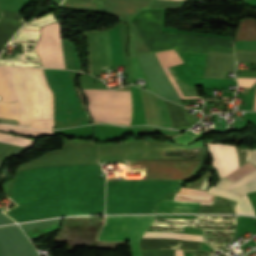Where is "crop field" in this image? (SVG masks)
I'll use <instances>...</instances> for the list:
<instances>
[{
  "label": "crop field",
  "instance_id": "9",
  "mask_svg": "<svg viewBox=\"0 0 256 256\" xmlns=\"http://www.w3.org/2000/svg\"><path fill=\"white\" fill-rule=\"evenodd\" d=\"M212 157V165L219 177H223L239 168L235 146L226 144H207Z\"/></svg>",
  "mask_w": 256,
  "mask_h": 256
},
{
  "label": "crop field",
  "instance_id": "14",
  "mask_svg": "<svg viewBox=\"0 0 256 256\" xmlns=\"http://www.w3.org/2000/svg\"><path fill=\"white\" fill-rule=\"evenodd\" d=\"M24 23L0 19V52Z\"/></svg>",
  "mask_w": 256,
  "mask_h": 256
},
{
  "label": "crop field",
  "instance_id": "28",
  "mask_svg": "<svg viewBox=\"0 0 256 256\" xmlns=\"http://www.w3.org/2000/svg\"><path fill=\"white\" fill-rule=\"evenodd\" d=\"M110 66H106V67H103V69H105V68H109Z\"/></svg>",
  "mask_w": 256,
  "mask_h": 256
},
{
  "label": "crop field",
  "instance_id": "15",
  "mask_svg": "<svg viewBox=\"0 0 256 256\" xmlns=\"http://www.w3.org/2000/svg\"><path fill=\"white\" fill-rule=\"evenodd\" d=\"M142 238H175L184 240L204 241L202 236L187 235L181 233L145 232Z\"/></svg>",
  "mask_w": 256,
  "mask_h": 256
},
{
  "label": "crop field",
  "instance_id": "2",
  "mask_svg": "<svg viewBox=\"0 0 256 256\" xmlns=\"http://www.w3.org/2000/svg\"><path fill=\"white\" fill-rule=\"evenodd\" d=\"M146 164V179H187L198 162L131 161ZM184 180L169 181H107L106 214L155 213L160 198L169 192H178Z\"/></svg>",
  "mask_w": 256,
  "mask_h": 256
},
{
  "label": "crop field",
  "instance_id": "27",
  "mask_svg": "<svg viewBox=\"0 0 256 256\" xmlns=\"http://www.w3.org/2000/svg\"><path fill=\"white\" fill-rule=\"evenodd\" d=\"M175 256H183L182 250H175Z\"/></svg>",
  "mask_w": 256,
  "mask_h": 256
},
{
  "label": "crop field",
  "instance_id": "11",
  "mask_svg": "<svg viewBox=\"0 0 256 256\" xmlns=\"http://www.w3.org/2000/svg\"><path fill=\"white\" fill-rule=\"evenodd\" d=\"M199 203L161 200L157 213H197Z\"/></svg>",
  "mask_w": 256,
  "mask_h": 256
},
{
  "label": "crop field",
  "instance_id": "3",
  "mask_svg": "<svg viewBox=\"0 0 256 256\" xmlns=\"http://www.w3.org/2000/svg\"><path fill=\"white\" fill-rule=\"evenodd\" d=\"M0 91L3 102L18 101L20 125L53 119L52 92L42 69L0 66Z\"/></svg>",
  "mask_w": 256,
  "mask_h": 256
},
{
  "label": "crop field",
  "instance_id": "13",
  "mask_svg": "<svg viewBox=\"0 0 256 256\" xmlns=\"http://www.w3.org/2000/svg\"><path fill=\"white\" fill-rule=\"evenodd\" d=\"M235 40H256V20L241 19L235 32Z\"/></svg>",
  "mask_w": 256,
  "mask_h": 256
},
{
  "label": "crop field",
  "instance_id": "6",
  "mask_svg": "<svg viewBox=\"0 0 256 256\" xmlns=\"http://www.w3.org/2000/svg\"><path fill=\"white\" fill-rule=\"evenodd\" d=\"M95 143H66L65 150L52 151L44 156L20 165L18 170L36 167L98 163Z\"/></svg>",
  "mask_w": 256,
  "mask_h": 256
},
{
  "label": "crop field",
  "instance_id": "12",
  "mask_svg": "<svg viewBox=\"0 0 256 256\" xmlns=\"http://www.w3.org/2000/svg\"><path fill=\"white\" fill-rule=\"evenodd\" d=\"M208 192L214 193V194H218V195H222V196H225V197H227L229 199L237 200L238 203H237V205L235 207L236 213L255 215L254 212H253L252 205H251L247 195H245L243 197H240V196L231 194L232 192L229 193V192H227L225 190L216 188L214 186L210 187Z\"/></svg>",
  "mask_w": 256,
  "mask_h": 256
},
{
  "label": "crop field",
  "instance_id": "10",
  "mask_svg": "<svg viewBox=\"0 0 256 256\" xmlns=\"http://www.w3.org/2000/svg\"><path fill=\"white\" fill-rule=\"evenodd\" d=\"M216 186L240 196H242L245 193L255 191L256 190V170L236 180L233 183L230 182L225 177H223L219 179Z\"/></svg>",
  "mask_w": 256,
  "mask_h": 256
},
{
  "label": "crop field",
  "instance_id": "23",
  "mask_svg": "<svg viewBox=\"0 0 256 256\" xmlns=\"http://www.w3.org/2000/svg\"><path fill=\"white\" fill-rule=\"evenodd\" d=\"M179 193L184 194H195V195H207L206 191L190 189V188H181Z\"/></svg>",
  "mask_w": 256,
  "mask_h": 256
},
{
  "label": "crop field",
  "instance_id": "7",
  "mask_svg": "<svg viewBox=\"0 0 256 256\" xmlns=\"http://www.w3.org/2000/svg\"><path fill=\"white\" fill-rule=\"evenodd\" d=\"M98 149L100 160H166V151H189L187 147L169 143H144Z\"/></svg>",
  "mask_w": 256,
  "mask_h": 256
},
{
  "label": "crop field",
  "instance_id": "25",
  "mask_svg": "<svg viewBox=\"0 0 256 256\" xmlns=\"http://www.w3.org/2000/svg\"><path fill=\"white\" fill-rule=\"evenodd\" d=\"M204 157H192L191 159H184V157H167V160H184V161H203Z\"/></svg>",
  "mask_w": 256,
  "mask_h": 256
},
{
  "label": "crop field",
  "instance_id": "19",
  "mask_svg": "<svg viewBox=\"0 0 256 256\" xmlns=\"http://www.w3.org/2000/svg\"><path fill=\"white\" fill-rule=\"evenodd\" d=\"M33 141L34 140L32 139L20 138V137H15V136L0 133V142H4V143L20 145V146H25L30 148Z\"/></svg>",
  "mask_w": 256,
  "mask_h": 256
},
{
  "label": "crop field",
  "instance_id": "24",
  "mask_svg": "<svg viewBox=\"0 0 256 256\" xmlns=\"http://www.w3.org/2000/svg\"><path fill=\"white\" fill-rule=\"evenodd\" d=\"M239 86L251 87L256 78H237Z\"/></svg>",
  "mask_w": 256,
  "mask_h": 256
},
{
  "label": "crop field",
  "instance_id": "20",
  "mask_svg": "<svg viewBox=\"0 0 256 256\" xmlns=\"http://www.w3.org/2000/svg\"><path fill=\"white\" fill-rule=\"evenodd\" d=\"M23 150V148L13 147L9 145L0 144V162L8 156L14 155L19 151Z\"/></svg>",
  "mask_w": 256,
  "mask_h": 256
},
{
  "label": "crop field",
  "instance_id": "5",
  "mask_svg": "<svg viewBox=\"0 0 256 256\" xmlns=\"http://www.w3.org/2000/svg\"><path fill=\"white\" fill-rule=\"evenodd\" d=\"M154 216H107L98 240L130 241L132 256H141L139 240Z\"/></svg>",
  "mask_w": 256,
  "mask_h": 256
},
{
  "label": "crop field",
  "instance_id": "26",
  "mask_svg": "<svg viewBox=\"0 0 256 256\" xmlns=\"http://www.w3.org/2000/svg\"><path fill=\"white\" fill-rule=\"evenodd\" d=\"M249 162L256 165V149L251 150Z\"/></svg>",
  "mask_w": 256,
  "mask_h": 256
},
{
  "label": "crop field",
  "instance_id": "1",
  "mask_svg": "<svg viewBox=\"0 0 256 256\" xmlns=\"http://www.w3.org/2000/svg\"><path fill=\"white\" fill-rule=\"evenodd\" d=\"M104 185L99 164L19 171L11 196L19 206L5 213L17 222L59 215L103 214Z\"/></svg>",
  "mask_w": 256,
  "mask_h": 256
},
{
  "label": "crop field",
  "instance_id": "17",
  "mask_svg": "<svg viewBox=\"0 0 256 256\" xmlns=\"http://www.w3.org/2000/svg\"><path fill=\"white\" fill-rule=\"evenodd\" d=\"M0 118L17 119V103H0Z\"/></svg>",
  "mask_w": 256,
  "mask_h": 256
},
{
  "label": "crop field",
  "instance_id": "18",
  "mask_svg": "<svg viewBox=\"0 0 256 256\" xmlns=\"http://www.w3.org/2000/svg\"><path fill=\"white\" fill-rule=\"evenodd\" d=\"M213 195L208 196H195V195H184V194H176L173 200L179 201H193V202H200L203 204L212 205L213 203Z\"/></svg>",
  "mask_w": 256,
  "mask_h": 256
},
{
  "label": "crop field",
  "instance_id": "22",
  "mask_svg": "<svg viewBox=\"0 0 256 256\" xmlns=\"http://www.w3.org/2000/svg\"><path fill=\"white\" fill-rule=\"evenodd\" d=\"M32 127L53 128V120L33 121Z\"/></svg>",
  "mask_w": 256,
  "mask_h": 256
},
{
  "label": "crop field",
  "instance_id": "16",
  "mask_svg": "<svg viewBox=\"0 0 256 256\" xmlns=\"http://www.w3.org/2000/svg\"><path fill=\"white\" fill-rule=\"evenodd\" d=\"M0 130L10 131L30 137H37L39 135H49L52 134V130H34L22 127H15V126H7V125H0Z\"/></svg>",
  "mask_w": 256,
  "mask_h": 256
},
{
  "label": "crop field",
  "instance_id": "8",
  "mask_svg": "<svg viewBox=\"0 0 256 256\" xmlns=\"http://www.w3.org/2000/svg\"><path fill=\"white\" fill-rule=\"evenodd\" d=\"M41 45L43 67L64 68L59 22L41 28ZM41 45L39 40L36 51L40 59Z\"/></svg>",
  "mask_w": 256,
  "mask_h": 256
},
{
  "label": "crop field",
  "instance_id": "4",
  "mask_svg": "<svg viewBox=\"0 0 256 256\" xmlns=\"http://www.w3.org/2000/svg\"><path fill=\"white\" fill-rule=\"evenodd\" d=\"M88 106L131 108L130 90L83 89ZM93 120L130 123L131 109L88 107Z\"/></svg>",
  "mask_w": 256,
  "mask_h": 256
},
{
  "label": "crop field",
  "instance_id": "21",
  "mask_svg": "<svg viewBox=\"0 0 256 256\" xmlns=\"http://www.w3.org/2000/svg\"><path fill=\"white\" fill-rule=\"evenodd\" d=\"M0 16L5 17V18L14 19V20H19V21H22V19L24 18V15H22L20 13L10 12V11H2V10H0Z\"/></svg>",
  "mask_w": 256,
  "mask_h": 256
}]
</instances>
